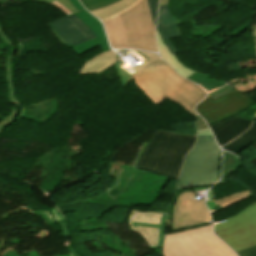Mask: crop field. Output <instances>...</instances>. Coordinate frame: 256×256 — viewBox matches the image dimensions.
I'll list each match as a JSON object with an SVG mask.
<instances>
[{
  "label": "crop field",
  "mask_w": 256,
  "mask_h": 256,
  "mask_svg": "<svg viewBox=\"0 0 256 256\" xmlns=\"http://www.w3.org/2000/svg\"><path fill=\"white\" fill-rule=\"evenodd\" d=\"M251 124V121L235 116L209 127L213 131L218 144L222 146L246 131Z\"/></svg>",
  "instance_id": "22f410ed"
},
{
  "label": "crop field",
  "mask_w": 256,
  "mask_h": 256,
  "mask_svg": "<svg viewBox=\"0 0 256 256\" xmlns=\"http://www.w3.org/2000/svg\"><path fill=\"white\" fill-rule=\"evenodd\" d=\"M6 127H8L5 123H3L2 121H0V133L2 132L3 129H5Z\"/></svg>",
  "instance_id": "e1f06a70"
},
{
  "label": "crop field",
  "mask_w": 256,
  "mask_h": 256,
  "mask_svg": "<svg viewBox=\"0 0 256 256\" xmlns=\"http://www.w3.org/2000/svg\"><path fill=\"white\" fill-rule=\"evenodd\" d=\"M142 53L145 54L148 58H150V60H147L142 65L134 68L136 71L140 70L142 67H144L145 65H147L150 62L160 59L159 56H157V55H155L153 53H147V52H142ZM116 68H117V70H118V72H119V74L121 76L123 85L134 75L133 74L131 76L130 74H128L126 71H124L119 66H116Z\"/></svg>",
  "instance_id": "00972430"
},
{
  "label": "crop field",
  "mask_w": 256,
  "mask_h": 256,
  "mask_svg": "<svg viewBox=\"0 0 256 256\" xmlns=\"http://www.w3.org/2000/svg\"><path fill=\"white\" fill-rule=\"evenodd\" d=\"M67 248H68V250H69L74 256H79V255L72 249L71 246H68Z\"/></svg>",
  "instance_id": "0bd39190"
},
{
  "label": "crop field",
  "mask_w": 256,
  "mask_h": 256,
  "mask_svg": "<svg viewBox=\"0 0 256 256\" xmlns=\"http://www.w3.org/2000/svg\"><path fill=\"white\" fill-rule=\"evenodd\" d=\"M119 16L129 48L158 52L147 0L138 1Z\"/></svg>",
  "instance_id": "412701ff"
},
{
  "label": "crop field",
  "mask_w": 256,
  "mask_h": 256,
  "mask_svg": "<svg viewBox=\"0 0 256 256\" xmlns=\"http://www.w3.org/2000/svg\"><path fill=\"white\" fill-rule=\"evenodd\" d=\"M157 41H158V46L160 50L161 57L172 67L175 68V70L183 77L188 78L192 80L193 82L200 76L204 75L202 73H198L195 71H192L191 69L187 68L183 64L179 62V60L176 58L175 55H171L170 52L167 50L166 45L163 43L161 36L159 34V31L157 29ZM208 76V75H204ZM210 77V76H208Z\"/></svg>",
  "instance_id": "733c2abd"
},
{
  "label": "crop field",
  "mask_w": 256,
  "mask_h": 256,
  "mask_svg": "<svg viewBox=\"0 0 256 256\" xmlns=\"http://www.w3.org/2000/svg\"><path fill=\"white\" fill-rule=\"evenodd\" d=\"M220 148L213 136L198 135L184 161L177 189L215 184L218 180Z\"/></svg>",
  "instance_id": "ac0d7876"
},
{
  "label": "crop field",
  "mask_w": 256,
  "mask_h": 256,
  "mask_svg": "<svg viewBox=\"0 0 256 256\" xmlns=\"http://www.w3.org/2000/svg\"><path fill=\"white\" fill-rule=\"evenodd\" d=\"M239 159L237 156L223 151V170L220 183L225 184L226 177L239 168Z\"/></svg>",
  "instance_id": "214f88e0"
},
{
  "label": "crop field",
  "mask_w": 256,
  "mask_h": 256,
  "mask_svg": "<svg viewBox=\"0 0 256 256\" xmlns=\"http://www.w3.org/2000/svg\"><path fill=\"white\" fill-rule=\"evenodd\" d=\"M59 40L70 48L84 41L95 38L91 30L74 14L49 23Z\"/></svg>",
  "instance_id": "3316defc"
},
{
  "label": "crop field",
  "mask_w": 256,
  "mask_h": 256,
  "mask_svg": "<svg viewBox=\"0 0 256 256\" xmlns=\"http://www.w3.org/2000/svg\"><path fill=\"white\" fill-rule=\"evenodd\" d=\"M147 144H148V143L143 142V144H142V146H141V148H140V150H139V152H138V154H137V157H136V159H135V161H134V163H133L132 166L135 167V165H136L138 159L140 158V156H141V154H142V152H143V150H144V148H145V146H146Z\"/></svg>",
  "instance_id": "120bbe31"
},
{
  "label": "crop field",
  "mask_w": 256,
  "mask_h": 256,
  "mask_svg": "<svg viewBox=\"0 0 256 256\" xmlns=\"http://www.w3.org/2000/svg\"><path fill=\"white\" fill-rule=\"evenodd\" d=\"M36 213H41L44 215V217L47 219V221L49 222V224H55L53 218H52V214L50 212H46V211H40V212H36Z\"/></svg>",
  "instance_id": "1d83c4d3"
},
{
  "label": "crop field",
  "mask_w": 256,
  "mask_h": 256,
  "mask_svg": "<svg viewBox=\"0 0 256 256\" xmlns=\"http://www.w3.org/2000/svg\"><path fill=\"white\" fill-rule=\"evenodd\" d=\"M196 191L183 192L178 198L172 219V232L193 228L211 221L204 200L196 201Z\"/></svg>",
  "instance_id": "d8731c3e"
},
{
  "label": "crop field",
  "mask_w": 256,
  "mask_h": 256,
  "mask_svg": "<svg viewBox=\"0 0 256 256\" xmlns=\"http://www.w3.org/2000/svg\"><path fill=\"white\" fill-rule=\"evenodd\" d=\"M195 82L203 87L207 91V93L226 85V83L204 76H200Z\"/></svg>",
  "instance_id": "dafd665d"
},
{
  "label": "crop field",
  "mask_w": 256,
  "mask_h": 256,
  "mask_svg": "<svg viewBox=\"0 0 256 256\" xmlns=\"http://www.w3.org/2000/svg\"><path fill=\"white\" fill-rule=\"evenodd\" d=\"M180 21V20H179ZM177 21L169 12L167 6L159 7V20L158 29L162 36L164 43L167 45L171 54L178 53L172 46L169 39L180 37L181 34L176 25L183 24V22Z\"/></svg>",
  "instance_id": "5142ce71"
},
{
  "label": "crop field",
  "mask_w": 256,
  "mask_h": 256,
  "mask_svg": "<svg viewBox=\"0 0 256 256\" xmlns=\"http://www.w3.org/2000/svg\"><path fill=\"white\" fill-rule=\"evenodd\" d=\"M34 1H41V2H46L48 4H51L55 0H34ZM60 3H62L68 10H70L72 13L77 12L75 7L70 3L69 0H56Z\"/></svg>",
  "instance_id": "730fd06b"
},
{
  "label": "crop field",
  "mask_w": 256,
  "mask_h": 256,
  "mask_svg": "<svg viewBox=\"0 0 256 256\" xmlns=\"http://www.w3.org/2000/svg\"><path fill=\"white\" fill-rule=\"evenodd\" d=\"M75 15L93 31V33L96 35L97 38L84 42L80 45H77L71 48L72 50H74L79 55L99 45L102 46L104 52L111 50L104 32V29L102 27L101 21L95 19L86 10L75 13Z\"/></svg>",
  "instance_id": "28ad6ade"
},
{
  "label": "crop field",
  "mask_w": 256,
  "mask_h": 256,
  "mask_svg": "<svg viewBox=\"0 0 256 256\" xmlns=\"http://www.w3.org/2000/svg\"><path fill=\"white\" fill-rule=\"evenodd\" d=\"M165 214L162 215V219H161V223H160V231H159V243L157 247H163V243H164V222L166 219Z\"/></svg>",
  "instance_id": "ae1a2a85"
},
{
  "label": "crop field",
  "mask_w": 256,
  "mask_h": 256,
  "mask_svg": "<svg viewBox=\"0 0 256 256\" xmlns=\"http://www.w3.org/2000/svg\"><path fill=\"white\" fill-rule=\"evenodd\" d=\"M168 136L169 133L157 131L154 138L146 146L136 167L146 171H150Z\"/></svg>",
  "instance_id": "d9b57169"
},
{
  "label": "crop field",
  "mask_w": 256,
  "mask_h": 256,
  "mask_svg": "<svg viewBox=\"0 0 256 256\" xmlns=\"http://www.w3.org/2000/svg\"><path fill=\"white\" fill-rule=\"evenodd\" d=\"M72 4L77 8L78 11L84 9L77 0H70Z\"/></svg>",
  "instance_id": "028f5c9d"
},
{
  "label": "crop field",
  "mask_w": 256,
  "mask_h": 256,
  "mask_svg": "<svg viewBox=\"0 0 256 256\" xmlns=\"http://www.w3.org/2000/svg\"><path fill=\"white\" fill-rule=\"evenodd\" d=\"M238 91H233L216 100L207 96L196 106V110L206 119L208 125L228 119L254 104Z\"/></svg>",
  "instance_id": "e52e79f7"
},
{
  "label": "crop field",
  "mask_w": 256,
  "mask_h": 256,
  "mask_svg": "<svg viewBox=\"0 0 256 256\" xmlns=\"http://www.w3.org/2000/svg\"><path fill=\"white\" fill-rule=\"evenodd\" d=\"M233 90H234L233 88H231L229 85H227V86H225V87H223V88H221V89H219L217 91H214V92H212V93H210L208 95H210L212 98L216 99V98H218V97H220V96H222V95H224L226 93H229V92H231Z\"/></svg>",
  "instance_id": "eef30255"
},
{
  "label": "crop field",
  "mask_w": 256,
  "mask_h": 256,
  "mask_svg": "<svg viewBox=\"0 0 256 256\" xmlns=\"http://www.w3.org/2000/svg\"><path fill=\"white\" fill-rule=\"evenodd\" d=\"M255 139L256 122H254L253 126L249 130H247L241 137L235 139L234 141L223 147V149L228 150L234 154H237L243 147H245Z\"/></svg>",
  "instance_id": "bc2a9ffb"
},
{
  "label": "crop field",
  "mask_w": 256,
  "mask_h": 256,
  "mask_svg": "<svg viewBox=\"0 0 256 256\" xmlns=\"http://www.w3.org/2000/svg\"><path fill=\"white\" fill-rule=\"evenodd\" d=\"M137 1L121 0L103 9L91 11L92 14L103 21L111 47L115 49L128 48L118 14L131 7Z\"/></svg>",
  "instance_id": "5a996713"
},
{
  "label": "crop field",
  "mask_w": 256,
  "mask_h": 256,
  "mask_svg": "<svg viewBox=\"0 0 256 256\" xmlns=\"http://www.w3.org/2000/svg\"><path fill=\"white\" fill-rule=\"evenodd\" d=\"M150 11L152 14V18L154 21V24H156V12H157V3L158 0H148Z\"/></svg>",
  "instance_id": "d3111659"
},
{
  "label": "crop field",
  "mask_w": 256,
  "mask_h": 256,
  "mask_svg": "<svg viewBox=\"0 0 256 256\" xmlns=\"http://www.w3.org/2000/svg\"><path fill=\"white\" fill-rule=\"evenodd\" d=\"M161 215L157 213H133L131 220L132 227L143 235L150 248L157 246Z\"/></svg>",
  "instance_id": "d1516ede"
},
{
  "label": "crop field",
  "mask_w": 256,
  "mask_h": 256,
  "mask_svg": "<svg viewBox=\"0 0 256 256\" xmlns=\"http://www.w3.org/2000/svg\"><path fill=\"white\" fill-rule=\"evenodd\" d=\"M119 0H81L82 4L88 11L102 8L107 5H111Z\"/></svg>",
  "instance_id": "a9b5d70f"
},
{
  "label": "crop field",
  "mask_w": 256,
  "mask_h": 256,
  "mask_svg": "<svg viewBox=\"0 0 256 256\" xmlns=\"http://www.w3.org/2000/svg\"><path fill=\"white\" fill-rule=\"evenodd\" d=\"M209 199H210V202H206V203H207L209 210H212V208L215 206V204H214V201H212L210 190H209Z\"/></svg>",
  "instance_id": "5866460e"
},
{
  "label": "crop field",
  "mask_w": 256,
  "mask_h": 256,
  "mask_svg": "<svg viewBox=\"0 0 256 256\" xmlns=\"http://www.w3.org/2000/svg\"><path fill=\"white\" fill-rule=\"evenodd\" d=\"M133 79L156 105L168 97L193 115V106L206 95L197 85L177 75L163 60L145 66Z\"/></svg>",
  "instance_id": "8a807250"
},
{
  "label": "crop field",
  "mask_w": 256,
  "mask_h": 256,
  "mask_svg": "<svg viewBox=\"0 0 256 256\" xmlns=\"http://www.w3.org/2000/svg\"><path fill=\"white\" fill-rule=\"evenodd\" d=\"M54 6L60 8L63 12H65L67 15L71 14V12H69L62 4L58 3V2H54L52 3Z\"/></svg>",
  "instance_id": "d32e631a"
},
{
  "label": "crop field",
  "mask_w": 256,
  "mask_h": 256,
  "mask_svg": "<svg viewBox=\"0 0 256 256\" xmlns=\"http://www.w3.org/2000/svg\"><path fill=\"white\" fill-rule=\"evenodd\" d=\"M250 195H253L252 193H250L248 190L244 191V192H241V193H238V194H235V195H232V196H228V197H225V198H222V199H218V200H215V203H216V206H220L222 208H225L241 199H244ZM242 201V200H241ZM240 202V201H239Z\"/></svg>",
  "instance_id": "92a150f3"
},
{
  "label": "crop field",
  "mask_w": 256,
  "mask_h": 256,
  "mask_svg": "<svg viewBox=\"0 0 256 256\" xmlns=\"http://www.w3.org/2000/svg\"><path fill=\"white\" fill-rule=\"evenodd\" d=\"M0 36L5 43L6 46H12V41L6 37L5 33L3 32V28L0 25ZM10 54V53H9ZM13 55H14V47L12 50V53L6 57V62H5V74H6V80H7V87H8V94H9V102L16 103V106L13 108V110L5 116L3 119H1L3 122L6 124H11L13 121H15L16 115L19 113L20 109V103L18 101V98L15 95L14 88L12 85V77H13V65H12V60H13Z\"/></svg>",
  "instance_id": "cbeb9de0"
},
{
  "label": "crop field",
  "mask_w": 256,
  "mask_h": 256,
  "mask_svg": "<svg viewBox=\"0 0 256 256\" xmlns=\"http://www.w3.org/2000/svg\"><path fill=\"white\" fill-rule=\"evenodd\" d=\"M160 5H168V0H161Z\"/></svg>",
  "instance_id": "b80d0937"
},
{
  "label": "crop field",
  "mask_w": 256,
  "mask_h": 256,
  "mask_svg": "<svg viewBox=\"0 0 256 256\" xmlns=\"http://www.w3.org/2000/svg\"><path fill=\"white\" fill-rule=\"evenodd\" d=\"M227 220L214 231L233 251L256 245V203Z\"/></svg>",
  "instance_id": "f4fd0767"
},
{
  "label": "crop field",
  "mask_w": 256,
  "mask_h": 256,
  "mask_svg": "<svg viewBox=\"0 0 256 256\" xmlns=\"http://www.w3.org/2000/svg\"><path fill=\"white\" fill-rule=\"evenodd\" d=\"M238 256H256V246L237 252Z\"/></svg>",
  "instance_id": "750c4746"
},
{
  "label": "crop field",
  "mask_w": 256,
  "mask_h": 256,
  "mask_svg": "<svg viewBox=\"0 0 256 256\" xmlns=\"http://www.w3.org/2000/svg\"><path fill=\"white\" fill-rule=\"evenodd\" d=\"M53 214V218L55 219L56 222L64 221V218L61 216V214L56 210V208H52L51 210Z\"/></svg>",
  "instance_id": "bd1437ed"
},
{
  "label": "crop field",
  "mask_w": 256,
  "mask_h": 256,
  "mask_svg": "<svg viewBox=\"0 0 256 256\" xmlns=\"http://www.w3.org/2000/svg\"><path fill=\"white\" fill-rule=\"evenodd\" d=\"M115 56L116 52L110 51L90 59L82 66L80 75L99 73L104 71L115 63Z\"/></svg>",
  "instance_id": "4a817a6b"
},
{
  "label": "crop field",
  "mask_w": 256,
  "mask_h": 256,
  "mask_svg": "<svg viewBox=\"0 0 256 256\" xmlns=\"http://www.w3.org/2000/svg\"><path fill=\"white\" fill-rule=\"evenodd\" d=\"M196 130L198 134L213 135L201 117L197 115Z\"/></svg>",
  "instance_id": "4177f3b9"
},
{
  "label": "crop field",
  "mask_w": 256,
  "mask_h": 256,
  "mask_svg": "<svg viewBox=\"0 0 256 256\" xmlns=\"http://www.w3.org/2000/svg\"><path fill=\"white\" fill-rule=\"evenodd\" d=\"M195 139L193 135L170 134L150 172L177 179L183 157Z\"/></svg>",
  "instance_id": "dd49c442"
},
{
  "label": "crop field",
  "mask_w": 256,
  "mask_h": 256,
  "mask_svg": "<svg viewBox=\"0 0 256 256\" xmlns=\"http://www.w3.org/2000/svg\"><path fill=\"white\" fill-rule=\"evenodd\" d=\"M205 225L166 235L165 256H237Z\"/></svg>",
  "instance_id": "34b2d1b8"
}]
</instances>
